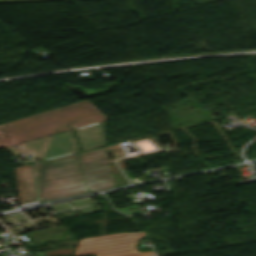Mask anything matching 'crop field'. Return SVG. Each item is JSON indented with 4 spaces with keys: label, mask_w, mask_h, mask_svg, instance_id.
Returning <instances> with one entry per match:
<instances>
[{
    "label": "crop field",
    "mask_w": 256,
    "mask_h": 256,
    "mask_svg": "<svg viewBox=\"0 0 256 256\" xmlns=\"http://www.w3.org/2000/svg\"><path fill=\"white\" fill-rule=\"evenodd\" d=\"M76 119L72 128L106 119L87 100L0 125V148L70 129L65 122Z\"/></svg>",
    "instance_id": "8a807250"
},
{
    "label": "crop field",
    "mask_w": 256,
    "mask_h": 256,
    "mask_svg": "<svg viewBox=\"0 0 256 256\" xmlns=\"http://www.w3.org/2000/svg\"><path fill=\"white\" fill-rule=\"evenodd\" d=\"M104 121L18 144L21 147L19 149L13 146L7 147V149L16 157L30 152L34 157L41 160L76 153L79 152V148L72 133L73 130L82 148L81 151L105 146L107 145V138Z\"/></svg>",
    "instance_id": "ac0d7876"
},
{
    "label": "crop field",
    "mask_w": 256,
    "mask_h": 256,
    "mask_svg": "<svg viewBox=\"0 0 256 256\" xmlns=\"http://www.w3.org/2000/svg\"><path fill=\"white\" fill-rule=\"evenodd\" d=\"M78 154L45 160L35 165L39 199L48 200L86 190L77 161ZM38 182H41L40 186Z\"/></svg>",
    "instance_id": "34b2d1b8"
},
{
    "label": "crop field",
    "mask_w": 256,
    "mask_h": 256,
    "mask_svg": "<svg viewBox=\"0 0 256 256\" xmlns=\"http://www.w3.org/2000/svg\"><path fill=\"white\" fill-rule=\"evenodd\" d=\"M145 236V232H126L102 235L79 240L74 256H154V252L139 253L135 241Z\"/></svg>",
    "instance_id": "412701ff"
},
{
    "label": "crop field",
    "mask_w": 256,
    "mask_h": 256,
    "mask_svg": "<svg viewBox=\"0 0 256 256\" xmlns=\"http://www.w3.org/2000/svg\"><path fill=\"white\" fill-rule=\"evenodd\" d=\"M79 161L89 190L114 186L103 149L82 153L79 155Z\"/></svg>",
    "instance_id": "f4fd0767"
},
{
    "label": "crop field",
    "mask_w": 256,
    "mask_h": 256,
    "mask_svg": "<svg viewBox=\"0 0 256 256\" xmlns=\"http://www.w3.org/2000/svg\"><path fill=\"white\" fill-rule=\"evenodd\" d=\"M31 167L29 164L15 168L21 203L36 200Z\"/></svg>",
    "instance_id": "dd49c442"
},
{
    "label": "crop field",
    "mask_w": 256,
    "mask_h": 256,
    "mask_svg": "<svg viewBox=\"0 0 256 256\" xmlns=\"http://www.w3.org/2000/svg\"><path fill=\"white\" fill-rule=\"evenodd\" d=\"M27 1H51V0H0V3H3V2H27Z\"/></svg>",
    "instance_id": "e52e79f7"
}]
</instances>
